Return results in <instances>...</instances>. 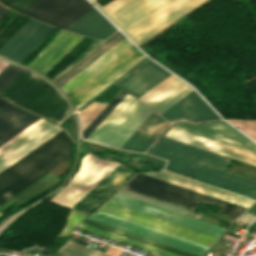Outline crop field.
<instances>
[{"label":"crop field","instance_id":"crop-field-1","mask_svg":"<svg viewBox=\"0 0 256 256\" xmlns=\"http://www.w3.org/2000/svg\"><path fill=\"white\" fill-rule=\"evenodd\" d=\"M91 1L138 45L205 0Z\"/></svg>","mask_w":256,"mask_h":256},{"label":"crop field","instance_id":"crop-field-2","mask_svg":"<svg viewBox=\"0 0 256 256\" xmlns=\"http://www.w3.org/2000/svg\"><path fill=\"white\" fill-rule=\"evenodd\" d=\"M117 165L118 163L98 159L89 153L82 159L79 171L68 185L49 201L70 208ZM133 174L119 164L71 209L90 213Z\"/></svg>","mask_w":256,"mask_h":256},{"label":"crop field","instance_id":"crop-field-3","mask_svg":"<svg viewBox=\"0 0 256 256\" xmlns=\"http://www.w3.org/2000/svg\"><path fill=\"white\" fill-rule=\"evenodd\" d=\"M72 139L63 130L0 173V204L71 156Z\"/></svg>","mask_w":256,"mask_h":256},{"label":"crop field","instance_id":"crop-field-4","mask_svg":"<svg viewBox=\"0 0 256 256\" xmlns=\"http://www.w3.org/2000/svg\"><path fill=\"white\" fill-rule=\"evenodd\" d=\"M9 101L60 122L71 111L62 95L37 76L22 70L1 92Z\"/></svg>","mask_w":256,"mask_h":256},{"label":"crop field","instance_id":"crop-field-5","mask_svg":"<svg viewBox=\"0 0 256 256\" xmlns=\"http://www.w3.org/2000/svg\"><path fill=\"white\" fill-rule=\"evenodd\" d=\"M133 99L134 98L127 94L91 133L87 140L120 148L153 112ZM131 101L132 103L126 108ZM125 108L126 110L123 112Z\"/></svg>","mask_w":256,"mask_h":256},{"label":"crop field","instance_id":"crop-field-6","mask_svg":"<svg viewBox=\"0 0 256 256\" xmlns=\"http://www.w3.org/2000/svg\"><path fill=\"white\" fill-rule=\"evenodd\" d=\"M124 188L158 198L188 209L195 207L187 204L206 202L221 206L219 213L237 218L246 208L218 200L170 183H166L142 174L135 176Z\"/></svg>","mask_w":256,"mask_h":256},{"label":"crop field","instance_id":"crop-field-7","mask_svg":"<svg viewBox=\"0 0 256 256\" xmlns=\"http://www.w3.org/2000/svg\"><path fill=\"white\" fill-rule=\"evenodd\" d=\"M149 154L170 160L166 169L256 198V182L153 147Z\"/></svg>","mask_w":256,"mask_h":256},{"label":"crop field","instance_id":"crop-field-8","mask_svg":"<svg viewBox=\"0 0 256 256\" xmlns=\"http://www.w3.org/2000/svg\"><path fill=\"white\" fill-rule=\"evenodd\" d=\"M93 8L87 0H36L21 13L66 29Z\"/></svg>","mask_w":256,"mask_h":256},{"label":"crop field","instance_id":"crop-field-9","mask_svg":"<svg viewBox=\"0 0 256 256\" xmlns=\"http://www.w3.org/2000/svg\"><path fill=\"white\" fill-rule=\"evenodd\" d=\"M141 56L143 54L132 45L67 95L75 105L79 104Z\"/></svg>","mask_w":256,"mask_h":256},{"label":"crop field","instance_id":"crop-field-10","mask_svg":"<svg viewBox=\"0 0 256 256\" xmlns=\"http://www.w3.org/2000/svg\"><path fill=\"white\" fill-rule=\"evenodd\" d=\"M173 128L256 154V144L226 122L199 125L182 122Z\"/></svg>","mask_w":256,"mask_h":256},{"label":"crop field","instance_id":"crop-field-11","mask_svg":"<svg viewBox=\"0 0 256 256\" xmlns=\"http://www.w3.org/2000/svg\"><path fill=\"white\" fill-rule=\"evenodd\" d=\"M109 201L163 218L165 220L218 237L225 231L220 227L169 211L167 209L117 193Z\"/></svg>","mask_w":256,"mask_h":256},{"label":"crop field","instance_id":"crop-field-12","mask_svg":"<svg viewBox=\"0 0 256 256\" xmlns=\"http://www.w3.org/2000/svg\"><path fill=\"white\" fill-rule=\"evenodd\" d=\"M53 29L30 18L0 49V54L20 62Z\"/></svg>","mask_w":256,"mask_h":256},{"label":"crop field","instance_id":"crop-field-13","mask_svg":"<svg viewBox=\"0 0 256 256\" xmlns=\"http://www.w3.org/2000/svg\"><path fill=\"white\" fill-rule=\"evenodd\" d=\"M93 215V214H92ZM88 219L112 226V227H116L170 246H174L195 254L200 255L205 249L206 247L101 213L96 211V213L89 217Z\"/></svg>","mask_w":256,"mask_h":256},{"label":"crop field","instance_id":"crop-field-14","mask_svg":"<svg viewBox=\"0 0 256 256\" xmlns=\"http://www.w3.org/2000/svg\"><path fill=\"white\" fill-rule=\"evenodd\" d=\"M84 39L85 37L60 29L56 37L28 66L45 75Z\"/></svg>","mask_w":256,"mask_h":256},{"label":"crop field","instance_id":"crop-field-15","mask_svg":"<svg viewBox=\"0 0 256 256\" xmlns=\"http://www.w3.org/2000/svg\"><path fill=\"white\" fill-rule=\"evenodd\" d=\"M161 116L170 122L180 119L192 122L221 119L194 90Z\"/></svg>","mask_w":256,"mask_h":256},{"label":"crop field","instance_id":"crop-field-16","mask_svg":"<svg viewBox=\"0 0 256 256\" xmlns=\"http://www.w3.org/2000/svg\"><path fill=\"white\" fill-rule=\"evenodd\" d=\"M169 73L155 62L148 60L117 85L138 98L171 75Z\"/></svg>","mask_w":256,"mask_h":256},{"label":"crop field","instance_id":"crop-field-17","mask_svg":"<svg viewBox=\"0 0 256 256\" xmlns=\"http://www.w3.org/2000/svg\"><path fill=\"white\" fill-rule=\"evenodd\" d=\"M146 175L179 185L183 186L243 207L248 208L252 205L255 201L166 172V171H159V172H152V173H145Z\"/></svg>","mask_w":256,"mask_h":256},{"label":"crop field","instance_id":"crop-field-18","mask_svg":"<svg viewBox=\"0 0 256 256\" xmlns=\"http://www.w3.org/2000/svg\"><path fill=\"white\" fill-rule=\"evenodd\" d=\"M169 125L170 123L153 112L121 149L145 152Z\"/></svg>","mask_w":256,"mask_h":256},{"label":"crop field","instance_id":"crop-field-19","mask_svg":"<svg viewBox=\"0 0 256 256\" xmlns=\"http://www.w3.org/2000/svg\"><path fill=\"white\" fill-rule=\"evenodd\" d=\"M39 118L22 112L9 104L0 107V145L30 126Z\"/></svg>","mask_w":256,"mask_h":256},{"label":"crop field","instance_id":"crop-field-20","mask_svg":"<svg viewBox=\"0 0 256 256\" xmlns=\"http://www.w3.org/2000/svg\"><path fill=\"white\" fill-rule=\"evenodd\" d=\"M166 136L193 144L195 146L252 164L256 166V156L225 146L221 145L176 129L171 128L169 132L166 134Z\"/></svg>","mask_w":256,"mask_h":256},{"label":"crop field","instance_id":"crop-field-21","mask_svg":"<svg viewBox=\"0 0 256 256\" xmlns=\"http://www.w3.org/2000/svg\"><path fill=\"white\" fill-rule=\"evenodd\" d=\"M67 30L104 40L117 29L94 8Z\"/></svg>","mask_w":256,"mask_h":256},{"label":"crop field","instance_id":"crop-field-22","mask_svg":"<svg viewBox=\"0 0 256 256\" xmlns=\"http://www.w3.org/2000/svg\"><path fill=\"white\" fill-rule=\"evenodd\" d=\"M156 147L179 153L225 169L230 159L163 137Z\"/></svg>","mask_w":256,"mask_h":256},{"label":"crop field","instance_id":"crop-field-23","mask_svg":"<svg viewBox=\"0 0 256 256\" xmlns=\"http://www.w3.org/2000/svg\"><path fill=\"white\" fill-rule=\"evenodd\" d=\"M61 179L54 176L53 174L47 172L42 177L28 185L26 188L9 198L7 201L2 203L0 205V214H2L3 211L11 207L15 203L19 204H26L36 198H38L40 195H42L45 191L52 188L56 184L60 183Z\"/></svg>","mask_w":256,"mask_h":256},{"label":"crop field","instance_id":"crop-field-24","mask_svg":"<svg viewBox=\"0 0 256 256\" xmlns=\"http://www.w3.org/2000/svg\"><path fill=\"white\" fill-rule=\"evenodd\" d=\"M124 38L125 37L118 31L116 34H114L103 44H101L99 47H97L95 50H93L91 53H89L87 56H85L83 59H81L53 81L61 87L94 61H96L98 58H100L103 54L117 45Z\"/></svg>","mask_w":256,"mask_h":256},{"label":"crop field","instance_id":"crop-field-25","mask_svg":"<svg viewBox=\"0 0 256 256\" xmlns=\"http://www.w3.org/2000/svg\"><path fill=\"white\" fill-rule=\"evenodd\" d=\"M178 79L145 104H147L160 115L171 106H173L181 98H183L190 91H192V89L188 85L181 82L182 80L180 81Z\"/></svg>","mask_w":256,"mask_h":256},{"label":"crop field","instance_id":"crop-field-26","mask_svg":"<svg viewBox=\"0 0 256 256\" xmlns=\"http://www.w3.org/2000/svg\"><path fill=\"white\" fill-rule=\"evenodd\" d=\"M55 124L46 120L39 123L37 126L29 130L27 133L16 139L14 142L6 146L0 151V163L15 154L17 151L28 145L30 142L38 138L40 135L48 131Z\"/></svg>","mask_w":256,"mask_h":256},{"label":"crop field","instance_id":"crop-field-27","mask_svg":"<svg viewBox=\"0 0 256 256\" xmlns=\"http://www.w3.org/2000/svg\"><path fill=\"white\" fill-rule=\"evenodd\" d=\"M82 223H85V224H88V225H91V226H94V227H97V228H100V229H103L106 231H110V232L131 238V239H134V240H137V241H140V242H143V243H146V244H149V245H152V246L164 249V250H168V251H171V252L183 255V256H197V255H194V254H191V253H188V252H185V251H182V250H179V249L146 239V238H142V237H139V236H136V235H133V234H130V233H127V232H124V231H121V230H118V229H115V228H112V227H109V226H106V225H103V224H100V223H97V222H94L91 220H88V219H84L82 221Z\"/></svg>","mask_w":256,"mask_h":256},{"label":"crop field","instance_id":"crop-field-28","mask_svg":"<svg viewBox=\"0 0 256 256\" xmlns=\"http://www.w3.org/2000/svg\"><path fill=\"white\" fill-rule=\"evenodd\" d=\"M61 130H63V129L60 128L59 126L54 128L53 130H51L49 133H47L46 135H44L43 137L38 139L36 142H34L30 146H28L26 149H24L23 151H21L20 153L15 155L13 158H11L10 160H8L4 164H2L0 166V172L3 171L4 169H6L7 167H9L10 165H12L13 163H15L17 160H19L20 158H22L23 156H25L26 154H28L32 150H34L36 147H38L39 145H41L42 143H44L45 141H47L51 137H53L55 134H57Z\"/></svg>","mask_w":256,"mask_h":256},{"label":"crop field","instance_id":"crop-field-29","mask_svg":"<svg viewBox=\"0 0 256 256\" xmlns=\"http://www.w3.org/2000/svg\"><path fill=\"white\" fill-rule=\"evenodd\" d=\"M124 91H120L110 104L96 117V119L82 132L83 139H86L90 133L101 123V121L111 112V110L122 100L126 95Z\"/></svg>","mask_w":256,"mask_h":256},{"label":"crop field","instance_id":"crop-field-30","mask_svg":"<svg viewBox=\"0 0 256 256\" xmlns=\"http://www.w3.org/2000/svg\"><path fill=\"white\" fill-rule=\"evenodd\" d=\"M28 19V17L18 14L13 18V20L0 32V48Z\"/></svg>","mask_w":256,"mask_h":256},{"label":"crop field","instance_id":"crop-field-31","mask_svg":"<svg viewBox=\"0 0 256 256\" xmlns=\"http://www.w3.org/2000/svg\"><path fill=\"white\" fill-rule=\"evenodd\" d=\"M108 104L93 102L87 108L79 113L82 123V131L95 119V117L107 106Z\"/></svg>","mask_w":256,"mask_h":256},{"label":"crop field","instance_id":"crop-field-32","mask_svg":"<svg viewBox=\"0 0 256 256\" xmlns=\"http://www.w3.org/2000/svg\"><path fill=\"white\" fill-rule=\"evenodd\" d=\"M256 141V120L227 119ZM232 124V125H233ZM236 127V128H237Z\"/></svg>","mask_w":256,"mask_h":256},{"label":"crop field","instance_id":"crop-field-33","mask_svg":"<svg viewBox=\"0 0 256 256\" xmlns=\"http://www.w3.org/2000/svg\"><path fill=\"white\" fill-rule=\"evenodd\" d=\"M21 71V69L9 64L0 73V91Z\"/></svg>","mask_w":256,"mask_h":256},{"label":"crop field","instance_id":"crop-field-34","mask_svg":"<svg viewBox=\"0 0 256 256\" xmlns=\"http://www.w3.org/2000/svg\"><path fill=\"white\" fill-rule=\"evenodd\" d=\"M172 75L169 76L167 79H165L163 82H161L159 85L154 87L152 90H150L148 93H146L144 96H142L138 100H140V101H142L144 103L146 101H148L150 98H152L154 95H156L158 92H160L162 89H164L166 86H168L170 83H172L174 80L177 79L176 77H174Z\"/></svg>","mask_w":256,"mask_h":256},{"label":"crop field","instance_id":"crop-field-35","mask_svg":"<svg viewBox=\"0 0 256 256\" xmlns=\"http://www.w3.org/2000/svg\"><path fill=\"white\" fill-rule=\"evenodd\" d=\"M34 0H0L1 3L4 5L20 12L25 7H27L30 3H32Z\"/></svg>","mask_w":256,"mask_h":256},{"label":"crop field","instance_id":"crop-field-36","mask_svg":"<svg viewBox=\"0 0 256 256\" xmlns=\"http://www.w3.org/2000/svg\"><path fill=\"white\" fill-rule=\"evenodd\" d=\"M64 246H67V247H71V248H74V249H77V250H80L82 252H85L87 254H90V255H93V256H109V255H106V254H103V253H100L98 251H95V250H92L90 248H87V247H84L82 245H79L77 243H74L70 240H68Z\"/></svg>","mask_w":256,"mask_h":256},{"label":"crop field","instance_id":"crop-field-37","mask_svg":"<svg viewBox=\"0 0 256 256\" xmlns=\"http://www.w3.org/2000/svg\"><path fill=\"white\" fill-rule=\"evenodd\" d=\"M146 56L144 55L139 60H137L135 63H133L131 66H129L127 69H125L123 72H121L119 75H117L115 78H113L111 81H109L107 84H105L103 87H101L99 90H97L95 93H93L91 96H89L87 99H85L83 102H81L79 105H77V109L81 107L83 104H85L87 101H89L92 97H94L96 94H98L100 91H102L105 87H107L109 84H111L113 81H115L117 78H119L122 74H124L126 71H128L130 68H132L135 64H137L139 61H141Z\"/></svg>","mask_w":256,"mask_h":256},{"label":"crop field","instance_id":"crop-field-38","mask_svg":"<svg viewBox=\"0 0 256 256\" xmlns=\"http://www.w3.org/2000/svg\"><path fill=\"white\" fill-rule=\"evenodd\" d=\"M58 252L65 254L64 256H90L87 255L85 253H82L80 251L74 250V249H70L67 247L62 246Z\"/></svg>","mask_w":256,"mask_h":256},{"label":"crop field","instance_id":"crop-field-39","mask_svg":"<svg viewBox=\"0 0 256 256\" xmlns=\"http://www.w3.org/2000/svg\"><path fill=\"white\" fill-rule=\"evenodd\" d=\"M101 43H102V41L95 40L94 43L89 47V49L84 54H82L78 59H76L72 64H70L66 69H68L70 66H72L74 63H76L78 60H80L82 57H84L86 54H88L90 51H92L94 48H96ZM66 69H64L62 72H64ZM62 72H60L58 75H60ZM58 75H56L54 78H56ZM54 78H52V80Z\"/></svg>","mask_w":256,"mask_h":256},{"label":"crop field","instance_id":"crop-field-40","mask_svg":"<svg viewBox=\"0 0 256 256\" xmlns=\"http://www.w3.org/2000/svg\"><path fill=\"white\" fill-rule=\"evenodd\" d=\"M42 119L38 120L37 122H35L34 124H32L30 127H28L27 129H25L24 131H22L21 133H19L18 135H16L14 138H12L11 140H9L8 142H6L5 144H3L2 146H0V149H2L3 147H5L6 145H8L10 142H12L13 140H15L16 138H18L19 136H21L23 133H25L26 131H28L29 129H31L32 127H34L35 125H37L39 122H41Z\"/></svg>","mask_w":256,"mask_h":256},{"label":"crop field","instance_id":"crop-field-41","mask_svg":"<svg viewBox=\"0 0 256 256\" xmlns=\"http://www.w3.org/2000/svg\"><path fill=\"white\" fill-rule=\"evenodd\" d=\"M10 10L4 8L2 5H0V20L9 12Z\"/></svg>","mask_w":256,"mask_h":256},{"label":"crop field","instance_id":"crop-field-42","mask_svg":"<svg viewBox=\"0 0 256 256\" xmlns=\"http://www.w3.org/2000/svg\"><path fill=\"white\" fill-rule=\"evenodd\" d=\"M224 238H226L228 240H231V241H233L235 243H237V241H238V238L230 236V235H227V234L224 235Z\"/></svg>","mask_w":256,"mask_h":256},{"label":"crop field","instance_id":"crop-field-43","mask_svg":"<svg viewBox=\"0 0 256 256\" xmlns=\"http://www.w3.org/2000/svg\"><path fill=\"white\" fill-rule=\"evenodd\" d=\"M7 65V63L0 61V71Z\"/></svg>","mask_w":256,"mask_h":256},{"label":"crop field","instance_id":"crop-field-44","mask_svg":"<svg viewBox=\"0 0 256 256\" xmlns=\"http://www.w3.org/2000/svg\"><path fill=\"white\" fill-rule=\"evenodd\" d=\"M4 103H6V102L0 100V106L3 105Z\"/></svg>","mask_w":256,"mask_h":256}]
</instances>
